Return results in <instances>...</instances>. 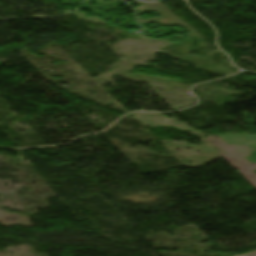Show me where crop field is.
<instances>
[{"instance_id":"crop-field-1","label":"crop field","mask_w":256,"mask_h":256,"mask_svg":"<svg viewBox=\"0 0 256 256\" xmlns=\"http://www.w3.org/2000/svg\"><path fill=\"white\" fill-rule=\"evenodd\" d=\"M226 143L228 144H241L252 146L256 148V136H249V135H219ZM246 159L254 162L256 164V150L252 152V155L247 157Z\"/></svg>"},{"instance_id":"crop-field-2","label":"crop field","mask_w":256,"mask_h":256,"mask_svg":"<svg viewBox=\"0 0 256 256\" xmlns=\"http://www.w3.org/2000/svg\"><path fill=\"white\" fill-rule=\"evenodd\" d=\"M245 256H256V252L250 253V254L245 255Z\"/></svg>"}]
</instances>
